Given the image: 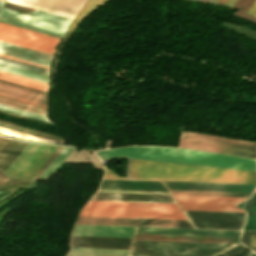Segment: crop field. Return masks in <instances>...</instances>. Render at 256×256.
Listing matches in <instances>:
<instances>
[{"label":"crop field","instance_id":"ac0d7876","mask_svg":"<svg viewBox=\"0 0 256 256\" xmlns=\"http://www.w3.org/2000/svg\"><path fill=\"white\" fill-rule=\"evenodd\" d=\"M97 154L99 158H131L256 171V160L254 159L182 148L129 146L99 151Z\"/></svg>","mask_w":256,"mask_h":256},{"label":"crop field","instance_id":"b80d0937","mask_svg":"<svg viewBox=\"0 0 256 256\" xmlns=\"http://www.w3.org/2000/svg\"><path fill=\"white\" fill-rule=\"evenodd\" d=\"M63 147L60 146L57 151L52 155V157L46 162V164L40 169V171L35 175L33 179H37L39 175L44 171V169L50 164V162L56 157V155L61 151Z\"/></svg>","mask_w":256,"mask_h":256},{"label":"crop field","instance_id":"4a817a6b","mask_svg":"<svg viewBox=\"0 0 256 256\" xmlns=\"http://www.w3.org/2000/svg\"><path fill=\"white\" fill-rule=\"evenodd\" d=\"M178 204L237 206L248 198L174 195Z\"/></svg>","mask_w":256,"mask_h":256},{"label":"crop field","instance_id":"750c4746","mask_svg":"<svg viewBox=\"0 0 256 256\" xmlns=\"http://www.w3.org/2000/svg\"><path fill=\"white\" fill-rule=\"evenodd\" d=\"M0 133L4 134V135L11 136V137L20 138V139H26V140H32V141L54 142V141H51V140L39 138V137H36V136L28 135V134H25V133L13 131V130L2 128V127H0Z\"/></svg>","mask_w":256,"mask_h":256},{"label":"crop field","instance_id":"5a996713","mask_svg":"<svg viewBox=\"0 0 256 256\" xmlns=\"http://www.w3.org/2000/svg\"><path fill=\"white\" fill-rule=\"evenodd\" d=\"M86 0H7V2L39 9L73 19Z\"/></svg>","mask_w":256,"mask_h":256},{"label":"crop field","instance_id":"dbb93151","mask_svg":"<svg viewBox=\"0 0 256 256\" xmlns=\"http://www.w3.org/2000/svg\"><path fill=\"white\" fill-rule=\"evenodd\" d=\"M245 256H256V254H254L253 252H249V253H247Z\"/></svg>","mask_w":256,"mask_h":256},{"label":"crop field","instance_id":"d8731c3e","mask_svg":"<svg viewBox=\"0 0 256 256\" xmlns=\"http://www.w3.org/2000/svg\"><path fill=\"white\" fill-rule=\"evenodd\" d=\"M195 228L242 230L246 213L184 211Z\"/></svg>","mask_w":256,"mask_h":256},{"label":"crop field","instance_id":"eef30255","mask_svg":"<svg viewBox=\"0 0 256 256\" xmlns=\"http://www.w3.org/2000/svg\"><path fill=\"white\" fill-rule=\"evenodd\" d=\"M0 103L6 104V105H9V106H13V107H17V108H20V109L32 111V112H35V113L43 114V115L46 116V109L45 108H41V107H37V106H34V105L22 103V102L11 100V99L4 98V97H0Z\"/></svg>","mask_w":256,"mask_h":256},{"label":"crop field","instance_id":"5142ce71","mask_svg":"<svg viewBox=\"0 0 256 256\" xmlns=\"http://www.w3.org/2000/svg\"><path fill=\"white\" fill-rule=\"evenodd\" d=\"M135 227L76 225L72 235L132 237Z\"/></svg>","mask_w":256,"mask_h":256},{"label":"crop field","instance_id":"5866460e","mask_svg":"<svg viewBox=\"0 0 256 256\" xmlns=\"http://www.w3.org/2000/svg\"><path fill=\"white\" fill-rule=\"evenodd\" d=\"M0 126L6 127V128H10V129H13V130H17V131H21V132H25V133H28V134L36 135V136H39V137L51 139V140H54V141H58V142H62V143H63L62 140H58V139H55V138H51V137H48V136H44V135H41V134H37V133H34V132H30V131H27V130H23V129H20V128L12 127V126H9V125H5V124H1V123H0Z\"/></svg>","mask_w":256,"mask_h":256},{"label":"crop field","instance_id":"e1f06a70","mask_svg":"<svg viewBox=\"0 0 256 256\" xmlns=\"http://www.w3.org/2000/svg\"><path fill=\"white\" fill-rule=\"evenodd\" d=\"M0 74L6 75V76H10V77H14V78H17V79L25 80V81H28V82H32V83H36V84H39V85H43V86H47V87H48V84H47V83L35 81V80H32V79L24 78V77H21V76L9 74V73L2 72V71H0Z\"/></svg>","mask_w":256,"mask_h":256},{"label":"crop field","instance_id":"c21b1889","mask_svg":"<svg viewBox=\"0 0 256 256\" xmlns=\"http://www.w3.org/2000/svg\"><path fill=\"white\" fill-rule=\"evenodd\" d=\"M235 16H238V17H241V18H244V19H247V20H250V21H253V22L256 23V18L251 17V16H249V15H246V14H244V13H241V12H239V11L236 12Z\"/></svg>","mask_w":256,"mask_h":256},{"label":"crop field","instance_id":"a9b5d70f","mask_svg":"<svg viewBox=\"0 0 256 256\" xmlns=\"http://www.w3.org/2000/svg\"><path fill=\"white\" fill-rule=\"evenodd\" d=\"M0 62L4 63V64L12 65V66L20 67V68H23V69L39 72V73L44 74V75H49L47 73H43V72L36 71V70H33V69L25 68V67L18 66V65H15V64H11V63H8V62H4V61H1V60H0ZM1 63H0V70L46 82L47 76L40 75L39 73L23 70V69H20V68L4 65V64H1ZM48 79H49V77H48ZM48 79H47V82H48Z\"/></svg>","mask_w":256,"mask_h":256},{"label":"crop field","instance_id":"28ad6ade","mask_svg":"<svg viewBox=\"0 0 256 256\" xmlns=\"http://www.w3.org/2000/svg\"><path fill=\"white\" fill-rule=\"evenodd\" d=\"M168 189L250 192L253 185L161 181Z\"/></svg>","mask_w":256,"mask_h":256},{"label":"crop field","instance_id":"e52e79f7","mask_svg":"<svg viewBox=\"0 0 256 256\" xmlns=\"http://www.w3.org/2000/svg\"><path fill=\"white\" fill-rule=\"evenodd\" d=\"M0 40L53 55L61 39L0 23Z\"/></svg>","mask_w":256,"mask_h":256},{"label":"crop field","instance_id":"f4fd0767","mask_svg":"<svg viewBox=\"0 0 256 256\" xmlns=\"http://www.w3.org/2000/svg\"><path fill=\"white\" fill-rule=\"evenodd\" d=\"M0 21L62 38L71 19L37 10L19 14L4 8Z\"/></svg>","mask_w":256,"mask_h":256},{"label":"crop field","instance_id":"412701ff","mask_svg":"<svg viewBox=\"0 0 256 256\" xmlns=\"http://www.w3.org/2000/svg\"><path fill=\"white\" fill-rule=\"evenodd\" d=\"M236 244L134 240L130 256H216Z\"/></svg>","mask_w":256,"mask_h":256},{"label":"crop field","instance_id":"bc2a9ffb","mask_svg":"<svg viewBox=\"0 0 256 256\" xmlns=\"http://www.w3.org/2000/svg\"><path fill=\"white\" fill-rule=\"evenodd\" d=\"M91 200L175 203L172 196L95 193Z\"/></svg>","mask_w":256,"mask_h":256},{"label":"crop field","instance_id":"34b2d1b8","mask_svg":"<svg viewBox=\"0 0 256 256\" xmlns=\"http://www.w3.org/2000/svg\"><path fill=\"white\" fill-rule=\"evenodd\" d=\"M80 216L186 220L177 204L89 201Z\"/></svg>","mask_w":256,"mask_h":256},{"label":"crop field","instance_id":"730fd06b","mask_svg":"<svg viewBox=\"0 0 256 256\" xmlns=\"http://www.w3.org/2000/svg\"><path fill=\"white\" fill-rule=\"evenodd\" d=\"M172 194L248 197L250 193L170 190Z\"/></svg>","mask_w":256,"mask_h":256},{"label":"crop field","instance_id":"425ffa30","mask_svg":"<svg viewBox=\"0 0 256 256\" xmlns=\"http://www.w3.org/2000/svg\"><path fill=\"white\" fill-rule=\"evenodd\" d=\"M248 251H250L247 247L243 250V251H241L240 253H238V254H235V255H232V256H243V255H245Z\"/></svg>","mask_w":256,"mask_h":256},{"label":"crop field","instance_id":"dd49c442","mask_svg":"<svg viewBox=\"0 0 256 256\" xmlns=\"http://www.w3.org/2000/svg\"><path fill=\"white\" fill-rule=\"evenodd\" d=\"M57 148L29 143L4 173L11 178L32 179Z\"/></svg>","mask_w":256,"mask_h":256},{"label":"crop field","instance_id":"d9b57169","mask_svg":"<svg viewBox=\"0 0 256 256\" xmlns=\"http://www.w3.org/2000/svg\"><path fill=\"white\" fill-rule=\"evenodd\" d=\"M99 189L167 192L160 182L102 180Z\"/></svg>","mask_w":256,"mask_h":256},{"label":"crop field","instance_id":"1d83c4d3","mask_svg":"<svg viewBox=\"0 0 256 256\" xmlns=\"http://www.w3.org/2000/svg\"><path fill=\"white\" fill-rule=\"evenodd\" d=\"M240 241L256 251V232L243 231Z\"/></svg>","mask_w":256,"mask_h":256},{"label":"crop field","instance_id":"d3111659","mask_svg":"<svg viewBox=\"0 0 256 256\" xmlns=\"http://www.w3.org/2000/svg\"><path fill=\"white\" fill-rule=\"evenodd\" d=\"M71 149L72 148L64 147L40 177H49L50 174L55 170V168L60 164V162L65 158V156L70 152Z\"/></svg>","mask_w":256,"mask_h":256},{"label":"crop field","instance_id":"d23c7cc5","mask_svg":"<svg viewBox=\"0 0 256 256\" xmlns=\"http://www.w3.org/2000/svg\"><path fill=\"white\" fill-rule=\"evenodd\" d=\"M7 180L9 179L6 177V175L0 172V184Z\"/></svg>","mask_w":256,"mask_h":256},{"label":"crop field","instance_id":"25e5ab78","mask_svg":"<svg viewBox=\"0 0 256 256\" xmlns=\"http://www.w3.org/2000/svg\"><path fill=\"white\" fill-rule=\"evenodd\" d=\"M0 56H3V55H0ZM3 57H7V56H3ZM7 58H11V57H7ZM11 59L18 60V59H15V58H11ZM18 61H22V60H18ZM22 62L29 63V64H33V65H37V64H34V63L26 62V61H22ZM37 66H40V67H44V68H48V69H49V67H45V66H41V65H37Z\"/></svg>","mask_w":256,"mask_h":256},{"label":"crop field","instance_id":"447ae74e","mask_svg":"<svg viewBox=\"0 0 256 256\" xmlns=\"http://www.w3.org/2000/svg\"><path fill=\"white\" fill-rule=\"evenodd\" d=\"M4 1V0H3Z\"/></svg>","mask_w":256,"mask_h":256},{"label":"crop field","instance_id":"c035e120","mask_svg":"<svg viewBox=\"0 0 256 256\" xmlns=\"http://www.w3.org/2000/svg\"><path fill=\"white\" fill-rule=\"evenodd\" d=\"M244 248H245V246H243L242 244H239L238 246H235V247L223 252V255L227 256V255H231V254H234V253H238L241 250H243Z\"/></svg>","mask_w":256,"mask_h":256},{"label":"crop field","instance_id":"bd1437ed","mask_svg":"<svg viewBox=\"0 0 256 256\" xmlns=\"http://www.w3.org/2000/svg\"><path fill=\"white\" fill-rule=\"evenodd\" d=\"M0 110L12 112V113H16V114H20V115H24V116H28V117L35 118V119L42 120V121H46V119H47V117L45 119V117L41 116V115H37V114H34V113L26 112V111H23V110H19V109H16V108L8 107V106L1 105V104H0ZM48 122L50 123L49 120H48Z\"/></svg>","mask_w":256,"mask_h":256},{"label":"crop field","instance_id":"8a807250","mask_svg":"<svg viewBox=\"0 0 256 256\" xmlns=\"http://www.w3.org/2000/svg\"><path fill=\"white\" fill-rule=\"evenodd\" d=\"M125 179L255 184L256 172L127 159ZM104 177L124 178L105 168Z\"/></svg>","mask_w":256,"mask_h":256},{"label":"crop field","instance_id":"92a150f3","mask_svg":"<svg viewBox=\"0 0 256 256\" xmlns=\"http://www.w3.org/2000/svg\"><path fill=\"white\" fill-rule=\"evenodd\" d=\"M0 93L1 94H5V95H9L12 97H16L19 99H23V100H27L30 102H34L37 104H41V105H45L47 103V96L46 95H42V94H38L35 92H31V91H27L24 89H20V88H16L13 86H9L6 84H2L0 83Z\"/></svg>","mask_w":256,"mask_h":256},{"label":"crop field","instance_id":"028f5c9d","mask_svg":"<svg viewBox=\"0 0 256 256\" xmlns=\"http://www.w3.org/2000/svg\"><path fill=\"white\" fill-rule=\"evenodd\" d=\"M97 192L170 195L169 193H157V192H133V191H109V190H97Z\"/></svg>","mask_w":256,"mask_h":256},{"label":"crop field","instance_id":"22f410ed","mask_svg":"<svg viewBox=\"0 0 256 256\" xmlns=\"http://www.w3.org/2000/svg\"><path fill=\"white\" fill-rule=\"evenodd\" d=\"M0 54L19 58L22 60L34 62L49 67L51 66L53 58L52 55L28 50L4 42H0Z\"/></svg>","mask_w":256,"mask_h":256},{"label":"crop field","instance_id":"89e229c0","mask_svg":"<svg viewBox=\"0 0 256 256\" xmlns=\"http://www.w3.org/2000/svg\"><path fill=\"white\" fill-rule=\"evenodd\" d=\"M236 0H228L225 5L232 7V5L235 3Z\"/></svg>","mask_w":256,"mask_h":256},{"label":"crop field","instance_id":"214f88e0","mask_svg":"<svg viewBox=\"0 0 256 256\" xmlns=\"http://www.w3.org/2000/svg\"><path fill=\"white\" fill-rule=\"evenodd\" d=\"M180 138L256 150V143L253 142L238 141L190 132L181 133Z\"/></svg>","mask_w":256,"mask_h":256},{"label":"crop field","instance_id":"d1516ede","mask_svg":"<svg viewBox=\"0 0 256 256\" xmlns=\"http://www.w3.org/2000/svg\"><path fill=\"white\" fill-rule=\"evenodd\" d=\"M132 238L72 236L70 246L129 249Z\"/></svg>","mask_w":256,"mask_h":256},{"label":"crop field","instance_id":"1f2cbd36","mask_svg":"<svg viewBox=\"0 0 256 256\" xmlns=\"http://www.w3.org/2000/svg\"><path fill=\"white\" fill-rule=\"evenodd\" d=\"M227 0H216V4H221V5H224V3L226 2Z\"/></svg>","mask_w":256,"mask_h":256},{"label":"crop field","instance_id":"ae1a2a85","mask_svg":"<svg viewBox=\"0 0 256 256\" xmlns=\"http://www.w3.org/2000/svg\"><path fill=\"white\" fill-rule=\"evenodd\" d=\"M182 210L245 212L240 207L180 205Z\"/></svg>","mask_w":256,"mask_h":256},{"label":"crop field","instance_id":"b54c1fbb","mask_svg":"<svg viewBox=\"0 0 256 256\" xmlns=\"http://www.w3.org/2000/svg\"><path fill=\"white\" fill-rule=\"evenodd\" d=\"M247 13L255 16L256 14V0L253 2V4L250 6V8L247 10Z\"/></svg>","mask_w":256,"mask_h":256},{"label":"crop field","instance_id":"0bd39190","mask_svg":"<svg viewBox=\"0 0 256 256\" xmlns=\"http://www.w3.org/2000/svg\"><path fill=\"white\" fill-rule=\"evenodd\" d=\"M0 59H1V60H4V61L12 62V63H15V64H19V65H22V66L30 67V68H33V69H37V70H40V71H44V72H48V73H49V70H48V69H44V68H40V67H37V66L25 64V63H22V62L14 61V60L7 59V58H3V57H0Z\"/></svg>","mask_w":256,"mask_h":256},{"label":"crop field","instance_id":"120bbe31","mask_svg":"<svg viewBox=\"0 0 256 256\" xmlns=\"http://www.w3.org/2000/svg\"><path fill=\"white\" fill-rule=\"evenodd\" d=\"M0 79L10 81V82H13V83H17V84H21V85H24V86H28V87H31V88L39 89V90L46 91V92L48 90L47 87L39 86V85H36V84L28 83V82H25V81L13 79V78L2 76V75H0Z\"/></svg>","mask_w":256,"mask_h":256},{"label":"crop field","instance_id":"73cf0c24","mask_svg":"<svg viewBox=\"0 0 256 256\" xmlns=\"http://www.w3.org/2000/svg\"><path fill=\"white\" fill-rule=\"evenodd\" d=\"M0 96H4V97H8V98H11V99H15V100H19V99H16V98H12V97H9V96H5V95H1ZM19 101H22V102H26V103H30V102H27V101H23V100H19ZM30 104H34V103H30ZM34 105H37V104H34ZM37 106H41V105H37ZM41 107H45V106H41ZM46 108V107H45Z\"/></svg>","mask_w":256,"mask_h":256},{"label":"crop field","instance_id":"1d79db26","mask_svg":"<svg viewBox=\"0 0 256 256\" xmlns=\"http://www.w3.org/2000/svg\"><path fill=\"white\" fill-rule=\"evenodd\" d=\"M209 1L214 2L215 0H209Z\"/></svg>","mask_w":256,"mask_h":256},{"label":"crop field","instance_id":"3316defc","mask_svg":"<svg viewBox=\"0 0 256 256\" xmlns=\"http://www.w3.org/2000/svg\"><path fill=\"white\" fill-rule=\"evenodd\" d=\"M77 223L192 228L188 221L79 217Z\"/></svg>","mask_w":256,"mask_h":256},{"label":"crop field","instance_id":"dafd665d","mask_svg":"<svg viewBox=\"0 0 256 256\" xmlns=\"http://www.w3.org/2000/svg\"><path fill=\"white\" fill-rule=\"evenodd\" d=\"M66 256H128L129 250L70 247Z\"/></svg>","mask_w":256,"mask_h":256},{"label":"crop field","instance_id":"5d738f31","mask_svg":"<svg viewBox=\"0 0 256 256\" xmlns=\"http://www.w3.org/2000/svg\"><path fill=\"white\" fill-rule=\"evenodd\" d=\"M18 190H13V191H5V192H0V200L17 192Z\"/></svg>","mask_w":256,"mask_h":256},{"label":"crop field","instance_id":"4177f3b9","mask_svg":"<svg viewBox=\"0 0 256 256\" xmlns=\"http://www.w3.org/2000/svg\"><path fill=\"white\" fill-rule=\"evenodd\" d=\"M108 0H89L84 8L81 10V12L78 14L76 19L71 24L70 28L68 29L67 33L65 34L64 38L68 39V37L71 35L73 30L76 28V26L79 24V22L86 17L92 10H94L97 6H104L105 3Z\"/></svg>","mask_w":256,"mask_h":256},{"label":"crop field","instance_id":"00972430","mask_svg":"<svg viewBox=\"0 0 256 256\" xmlns=\"http://www.w3.org/2000/svg\"><path fill=\"white\" fill-rule=\"evenodd\" d=\"M27 144H28L27 142H22V141H15V140L10 141V143L0 153V169L3 172L13 162V160L19 155V153L26 147Z\"/></svg>","mask_w":256,"mask_h":256},{"label":"crop field","instance_id":"733c2abd","mask_svg":"<svg viewBox=\"0 0 256 256\" xmlns=\"http://www.w3.org/2000/svg\"><path fill=\"white\" fill-rule=\"evenodd\" d=\"M242 231L137 228L136 233L239 237Z\"/></svg>","mask_w":256,"mask_h":256},{"label":"crop field","instance_id":"03da06ac","mask_svg":"<svg viewBox=\"0 0 256 256\" xmlns=\"http://www.w3.org/2000/svg\"><path fill=\"white\" fill-rule=\"evenodd\" d=\"M9 141H10V139H6V138H3V137H0V152L8 144Z\"/></svg>","mask_w":256,"mask_h":256},{"label":"crop field","instance_id":"cbeb9de0","mask_svg":"<svg viewBox=\"0 0 256 256\" xmlns=\"http://www.w3.org/2000/svg\"><path fill=\"white\" fill-rule=\"evenodd\" d=\"M179 147L256 159V151L180 139Z\"/></svg>","mask_w":256,"mask_h":256},{"label":"crop field","instance_id":"0fb4a251","mask_svg":"<svg viewBox=\"0 0 256 256\" xmlns=\"http://www.w3.org/2000/svg\"><path fill=\"white\" fill-rule=\"evenodd\" d=\"M3 3H4L3 1H0V10L2 8Z\"/></svg>","mask_w":256,"mask_h":256},{"label":"crop field","instance_id":"d32e631a","mask_svg":"<svg viewBox=\"0 0 256 256\" xmlns=\"http://www.w3.org/2000/svg\"><path fill=\"white\" fill-rule=\"evenodd\" d=\"M253 1L254 0H237L236 3L233 5V8L246 12V10L249 8Z\"/></svg>","mask_w":256,"mask_h":256},{"label":"crop field","instance_id":"9d1cf04e","mask_svg":"<svg viewBox=\"0 0 256 256\" xmlns=\"http://www.w3.org/2000/svg\"><path fill=\"white\" fill-rule=\"evenodd\" d=\"M202 1H206L207 2L208 0H202Z\"/></svg>","mask_w":256,"mask_h":256}]
</instances>
